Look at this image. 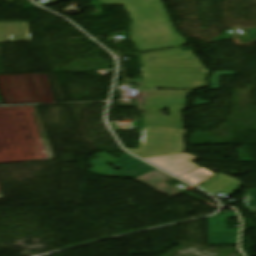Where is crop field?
<instances>
[{
  "label": "crop field",
  "mask_w": 256,
  "mask_h": 256,
  "mask_svg": "<svg viewBox=\"0 0 256 256\" xmlns=\"http://www.w3.org/2000/svg\"><path fill=\"white\" fill-rule=\"evenodd\" d=\"M30 41L28 23H0V42Z\"/></svg>",
  "instance_id": "obj_10"
},
{
  "label": "crop field",
  "mask_w": 256,
  "mask_h": 256,
  "mask_svg": "<svg viewBox=\"0 0 256 256\" xmlns=\"http://www.w3.org/2000/svg\"><path fill=\"white\" fill-rule=\"evenodd\" d=\"M143 131L140 150L127 149L141 158L183 153L185 150L183 137L188 130L144 126Z\"/></svg>",
  "instance_id": "obj_4"
},
{
  "label": "crop field",
  "mask_w": 256,
  "mask_h": 256,
  "mask_svg": "<svg viewBox=\"0 0 256 256\" xmlns=\"http://www.w3.org/2000/svg\"><path fill=\"white\" fill-rule=\"evenodd\" d=\"M241 184L239 180L226 177L221 173L198 187L213 195L219 191L227 193Z\"/></svg>",
  "instance_id": "obj_11"
},
{
  "label": "crop field",
  "mask_w": 256,
  "mask_h": 256,
  "mask_svg": "<svg viewBox=\"0 0 256 256\" xmlns=\"http://www.w3.org/2000/svg\"><path fill=\"white\" fill-rule=\"evenodd\" d=\"M244 201H245L247 207H255L256 206V191L255 190H249L245 194Z\"/></svg>",
  "instance_id": "obj_16"
},
{
  "label": "crop field",
  "mask_w": 256,
  "mask_h": 256,
  "mask_svg": "<svg viewBox=\"0 0 256 256\" xmlns=\"http://www.w3.org/2000/svg\"><path fill=\"white\" fill-rule=\"evenodd\" d=\"M208 103H209V102H207V101H203V100L197 99V100L195 101V103L193 104V106H196V105H198V104L207 105Z\"/></svg>",
  "instance_id": "obj_18"
},
{
  "label": "crop field",
  "mask_w": 256,
  "mask_h": 256,
  "mask_svg": "<svg viewBox=\"0 0 256 256\" xmlns=\"http://www.w3.org/2000/svg\"><path fill=\"white\" fill-rule=\"evenodd\" d=\"M188 156H190L191 158H192V160H194V159H199L197 156H195V155H192V154H188V153H186Z\"/></svg>",
  "instance_id": "obj_19"
},
{
  "label": "crop field",
  "mask_w": 256,
  "mask_h": 256,
  "mask_svg": "<svg viewBox=\"0 0 256 256\" xmlns=\"http://www.w3.org/2000/svg\"><path fill=\"white\" fill-rule=\"evenodd\" d=\"M228 217H237V214L233 212L208 218L210 245L237 244L239 229H226L224 218Z\"/></svg>",
  "instance_id": "obj_7"
},
{
  "label": "crop field",
  "mask_w": 256,
  "mask_h": 256,
  "mask_svg": "<svg viewBox=\"0 0 256 256\" xmlns=\"http://www.w3.org/2000/svg\"><path fill=\"white\" fill-rule=\"evenodd\" d=\"M97 158L90 161V166L95 167L94 169L88 171L89 173L101 176H113V177H124V178H138L146 173H149L155 168L152 166L142 163L119 172L115 171L105 163L116 160L109 154L103 152L99 154H95Z\"/></svg>",
  "instance_id": "obj_6"
},
{
  "label": "crop field",
  "mask_w": 256,
  "mask_h": 256,
  "mask_svg": "<svg viewBox=\"0 0 256 256\" xmlns=\"http://www.w3.org/2000/svg\"><path fill=\"white\" fill-rule=\"evenodd\" d=\"M254 216H256V215H254Z\"/></svg>",
  "instance_id": "obj_20"
},
{
  "label": "crop field",
  "mask_w": 256,
  "mask_h": 256,
  "mask_svg": "<svg viewBox=\"0 0 256 256\" xmlns=\"http://www.w3.org/2000/svg\"><path fill=\"white\" fill-rule=\"evenodd\" d=\"M142 162L143 161H141V160H139L137 158H134V157H132V156L127 154L125 156H122L121 159L116 160L114 162H111L109 164L114 165V166H116L118 168L124 169V168L130 167V166L142 163Z\"/></svg>",
  "instance_id": "obj_14"
},
{
  "label": "crop field",
  "mask_w": 256,
  "mask_h": 256,
  "mask_svg": "<svg viewBox=\"0 0 256 256\" xmlns=\"http://www.w3.org/2000/svg\"><path fill=\"white\" fill-rule=\"evenodd\" d=\"M23 75H25L27 79L34 101H32L31 99V96L29 94L28 87L26 85ZM23 75H15V76L0 75V87L6 103H16V102L52 103V94L49 88L48 77L46 74H40V76H41L47 97H45L44 95L38 74H33L41 100H39L38 98L31 74H23Z\"/></svg>",
  "instance_id": "obj_5"
},
{
  "label": "crop field",
  "mask_w": 256,
  "mask_h": 256,
  "mask_svg": "<svg viewBox=\"0 0 256 256\" xmlns=\"http://www.w3.org/2000/svg\"><path fill=\"white\" fill-rule=\"evenodd\" d=\"M217 174L201 167L195 171H192L186 175H183L179 178L195 185L198 186L200 184H202L203 182L207 181L208 179L212 178L213 176H215Z\"/></svg>",
  "instance_id": "obj_13"
},
{
  "label": "crop field",
  "mask_w": 256,
  "mask_h": 256,
  "mask_svg": "<svg viewBox=\"0 0 256 256\" xmlns=\"http://www.w3.org/2000/svg\"><path fill=\"white\" fill-rule=\"evenodd\" d=\"M185 194H187V195H189V196H192V197H194V198H196V199H198V200H200V201H203V202H205V203H207V204H209V205H211V206H213V207H215V208L218 209L217 206H215V205H213V204H211V203H209V202H207V201H205V200H203V199H201V198H199V197H197V196H195V195H193V194H191V193H189V192H187V193H185Z\"/></svg>",
  "instance_id": "obj_17"
},
{
  "label": "crop field",
  "mask_w": 256,
  "mask_h": 256,
  "mask_svg": "<svg viewBox=\"0 0 256 256\" xmlns=\"http://www.w3.org/2000/svg\"><path fill=\"white\" fill-rule=\"evenodd\" d=\"M105 4L125 5L131 24L130 39L140 52L184 46L161 0H100ZM169 49V48H168Z\"/></svg>",
  "instance_id": "obj_1"
},
{
  "label": "crop field",
  "mask_w": 256,
  "mask_h": 256,
  "mask_svg": "<svg viewBox=\"0 0 256 256\" xmlns=\"http://www.w3.org/2000/svg\"><path fill=\"white\" fill-rule=\"evenodd\" d=\"M144 88L199 89L207 86L199 61L140 63Z\"/></svg>",
  "instance_id": "obj_2"
},
{
  "label": "crop field",
  "mask_w": 256,
  "mask_h": 256,
  "mask_svg": "<svg viewBox=\"0 0 256 256\" xmlns=\"http://www.w3.org/2000/svg\"><path fill=\"white\" fill-rule=\"evenodd\" d=\"M220 75H234V71L214 72L210 75L209 81L212 85L210 89H219Z\"/></svg>",
  "instance_id": "obj_15"
},
{
  "label": "crop field",
  "mask_w": 256,
  "mask_h": 256,
  "mask_svg": "<svg viewBox=\"0 0 256 256\" xmlns=\"http://www.w3.org/2000/svg\"><path fill=\"white\" fill-rule=\"evenodd\" d=\"M145 160L153 163L154 165L164 169L165 171L177 177L200 167V165H196L195 163H193V161L184 153L146 158Z\"/></svg>",
  "instance_id": "obj_8"
},
{
  "label": "crop field",
  "mask_w": 256,
  "mask_h": 256,
  "mask_svg": "<svg viewBox=\"0 0 256 256\" xmlns=\"http://www.w3.org/2000/svg\"><path fill=\"white\" fill-rule=\"evenodd\" d=\"M150 108H169L170 115L159 116L158 111L144 117V125L184 129L182 111L186 103L184 97L190 92L141 91Z\"/></svg>",
  "instance_id": "obj_3"
},
{
  "label": "crop field",
  "mask_w": 256,
  "mask_h": 256,
  "mask_svg": "<svg viewBox=\"0 0 256 256\" xmlns=\"http://www.w3.org/2000/svg\"><path fill=\"white\" fill-rule=\"evenodd\" d=\"M171 179H173V178L158 171V170H155V171H153L147 175H144L138 179H135V180L149 186L150 188H153V189H156V190L162 192L166 196L172 197L181 192L164 184L165 182H167Z\"/></svg>",
  "instance_id": "obj_9"
},
{
  "label": "crop field",
  "mask_w": 256,
  "mask_h": 256,
  "mask_svg": "<svg viewBox=\"0 0 256 256\" xmlns=\"http://www.w3.org/2000/svg\"><path fill=\"white\" fill-rule=\"evenodd\" d=\"M140 62L197 60L191 50L181 49L138 56Z\"/></svg>",
  "instance_id": "obj_12"
}]
</instances>
